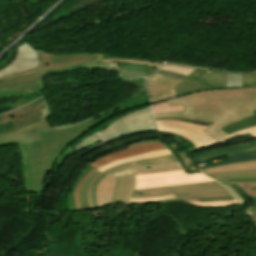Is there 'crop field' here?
<instances>
[{"instance_id": "47", "label": "crop field", "mask_w": 256, "mask_h": 256, "mask_svg": "<svg viewBox=\"0 0 256 256\" xmlns=\"http://www.w3.org/2000/svg\"><path fill=\"white\" fill-rule=\"evenodd\" d=\"M106 122H107L108 124L105 125V126H103L102 129L99 128V131L105 129L107 126H109L110 123H112V122H114V121H112V120L109 119V120L106 121Z\"/></svg>"}, {"instance_id": "14", "label": "crop field", "mask_w": 256, "mask_h": 256, "mask_svg": "<svg viewBox=\"0 0 256 256\" xmlns=\"http://www.w3.org/2000/svg\"><path fill=\"white\" fill-rule=\"evenodd\" d=\"M149 103L148 95H139L134 97H129L125 101H123L121 104H119L118 108L112 110L110 113L101 115L99 117L94 118V122L89 128H94L97 125L101 124L102 122L106 121L107 119L117 115L120 112L125 111L126 109H131L135 107H139L140 105Z\"/></svg>"}, {"instance_id": "12", "label": "crop field", "mask_w": 256, "mask_h": 256, "mask_svg": "<svg viewBox=\"0 0 256 256\" xmlns=\"http://www.w3.org/2000/svg\"><path fill=\"white\" fill-rule=\"evenodd\" d=\"M134 184V173L116 177L111 203H127L132 194Z\"/></svg>"}, {"instance_id": "15", "label": "crop field", "mask_w": 256, "mask_h": 256, "mask_svg": "<svg viewBox=\"0 0 256 256\" xmlns=\"http://www.w3.org/2000/svg\"><path fill=\"white\" fill-rule=\"evenodd\" d=\"M158 73L184 80L181 84H179L175 88L178 96L183 95V94H187V93H191V92H195V91L215 89V88H212L208 85L200 83L196 80H193L189 77H183V76H180V75L171 74V73H167V72H164V71H159Z\"/></svg>"}, {"instance_id": "27", "label": "crop field", "mask_w": 256, "mask_h": 256, "mask_svg": "<svg viewBox=\"0 0 256 256\" xmlns=\"http://www.w3.org/2000/svg\"><path fill=\"white\" fill-rule=\"evenodd\" d=\"M152 106H153V114L175 112V111L183 110L182 105L170 107L166 101H162V102L153 104Z\"/></svg>"}, {"instance_id": "43", "label": "crop field", "mask_w": 256, "mask_h": 256, "mask_svg": "<svg viewBox=\"0 0 256 256\" xmlns=\"http://www.w3.org/2000/svg\"><path fill=\"white\" fill-rule=\"evenodd\" d=\"M175 200H165V201H157V202H149V203H129V204H156V203H167V202H174Z\"/></svg>"}, {"instance_id": "2", "label": "crop field", "mask_w": 256, "mask_h": 256, "mask_svg": "<svg viewBox=\"0 0 256 256\" xmlns=\"http://www.w3.org/2000/svg\"><path fill=\"white\" fill-rule=\"evenodd\" d=\"M93 121L91 119L71 128L42 132L40 135L43 141L26 144L31 165L32 192L39 194L43 176L51 172L65 147L85 135Z\"/></svg>"}, {"instance_id": "41", "label": "crop field", "mask_w": 256, "mask_h": 256, "mask_svg": "<svg viewBox=\"0 0 256 256\" xmlns=\"http://www.w3.org/2000/svg\"><path fill=\"white\" fill-rule=\"evenodd\" d=\"M152 142H157V143L163 145L162 142H160V141H158V140H155V141H147V142H140V143L132 144V145H129V148H132V147L138 146V145H144V144L152 143ZM163 146H164V145H163ZM164 147H165V146H164Z\"/></svg>"}, {"instance_id": "34", "label": "crop field", "mask_w": 256, "mask_h": 256, "mask_svg": "<svg viewBox=\"0 0 256 256\" xmlns=\"http://www.w3.org/2000/svg\"><path fill=\"white\" fill-rule=\"evenodd\" d=\"M102 175H103V173H101V174L98 175L95 179H93V180L91 181V183H90L88 189H87V201H88L89 206H90L91 209H92V208H95L94 205H93V202H92L91 188H92V186L94 185V183L96 182V180H97L100 176H102Z\"/></svg>"}, {"instance_id": "39", "label": "crop field", "mask_w": 256, "mask_h": 256, "mask_svg": "<svg viewBox=\"0 0 256 256\" xmlns=\"http://www.w3.org/2000/svg\"><path fill=\"white\" fill-rule=\"evenodd\" d=\"M70 189H71V188L66 189L65 193H64L63 196H62V201H61V205H60V210H66L64 203H66V195H67V193L69 192Z\"/></svg>"}, {"instance_id": "5", "label": "crop field", "mask_w": 256, "mask_h": 256, "mask_svg": "<svg viewBox=\"0 0 256 256\" xmlns=\"http://www.w3.org/2000/svg\"><path fill=\"white\" fill-rule=\"evenodd\" d=\"M37 51V50H36ZM40 61L35 68L11 75L0 79V86L10 85L21 82L39 80L41 86H44L43 78L45 71L64 69L85 63L101 62L102 54H76L67 56L49 55L37 51Z\"/></svg>"}, {"instance_id": "40", "label": "crop field", "mask_w": 256, "mask_h": 256, "mask_svg": "<svg viewBox=\"0 0 256 256\" xmlns=\"http://www.w3.org/2000/svg\"><path fill=\"white\" fill-rule=\"evenodd\" d=\"M147 106H150V103L148 105L141 106L140 108H135V109H132V110H127L126 112L119 114V116L120 117L125 116V115H127V114H129V113H131L133 111L141 110V109H143V108H145Z\"/></svg>"}, {"instance_id": "33", "label": "crop field", "mask_w": 256, "mask_h": 256, "mask_svg": "<svg viewBox=\"0 0 256 256\" xmlns=\"http://www.w3.org/2000/svg\"><path fill=\"white\" fill-rule=\"evenodd\" d=\"M176 201H217V200H234L233 197H212L198 199H175Z\"/></svg>"}, {"instance_id": "11", "label": "crop field", "mask_w": 256, "mask_h": 256, "mask_svg": "<svg viewBox=\"0 0 256 256\" xmlns=\"http://www.w3.org/2000/svg\"><path fill=\"white\" fill-rule=\"evenodd\" d=\"M18 55L15 61L8 67L0 70V78L8 75L29 70L38 65V56L32 46L24 43L18 50Z\"/></svg>"}, {"instance_id": "42", "label": "crop field", "mask_w": 256, "mask_h": 256, "mask_svg": "<svg viewBox=\"0 0 256 256\" xmlns=\"http://www.w3.org/2000/svg\"><path fill=\"white\" fill-rule=\"evenodd\" d=\"M104 176H105V175H104ZM104 176H102L101 178L98 179V181L95 183V185H94V187H93V189H92L93 201H94V205H95L96 208H97V206H96V200H95V188H96L98 182H99Z\"/></svg>"}, {"instance_id": "30", "label": "crop field", "mask_w": 256, "mask_h": 256, "mask_svg": "<svg viewBox=\"0 0 256 256\" xmlns=\"http://www.w3.org/2000/svg\"><path fill=\"white\" fill-rule=\"evenodd\" d=\"M242 87V75L227 74L226 88H240Z\"/></svg>"}, {"instance_id": "21", "label": "crop field", "mask_w": 256, "mask_h": 256, "mask_svg": "<svg viewBox=\"0 0 256 256\" xmlns=\"http://www.w3.org/2000/svg\"><path fill=\"white\" fill-rule=\"evenodd\" d=\"M250 168H256V161L232 164V165L217 166V167L202 169L200 171L203 172L204 174H206V173H210V172L241 170V169H250Z\"/></svg>"}, {"instance_id": "20", "label": "crop field", "mask_w": 256, "mask_h": 256, "mask_svg": "<svg viewBox=\"0 0 256 256\" xmlns=\"http://www.w3.org/2000/svg\"><path fill=\"white\" fill-rule=\"evenodd\" d=\"M170 154L171 153L168 150L152 152V153H146V154L137 155V156H133V157H129V158H125V159L114 161V162H112V163H110V164H108L106 166H103V167L99 168L98 170L103 172L104 170H106V169H108L110 167L116 166V165L124 163V162H130V161L140 160V159H144V158H154V157L170 155Z\"/></svg>"}, {"instance_id": "22", "label": "crop field", "mask_w": 256, "mask_h": 256, "mask_svg": "<svg viewBox=\"0 0 256 256\" xmlns=\"http://www.w3.org/2000/svg\"><path fill=\"white\" fill-rule=\"evenodd\" d=\"M228 158L230 160L228 162H222V163L207 166V167L256 160V150L246 151V152H241V153L229 155ZM207 167H201L200 169L207 168Z\"/></svg>"}, {"instance_id": "1", "label": "crop field", "mask_w": 256, "mask_h": 256, "mask_svg": "<svg viewBox=\"0 0 256 256\" xmlns=\"http://www.w3.org/2000/svg\"><path fill=\"white\" fill-rule=\"evenodd\" d=\"M170 106L183 104L184 111L158 114L161 117H188L214 122L204 133L218 141L228 134L220 128L256 114V73L243 75V88L196 92L167 100Z\"/></svg>"}, {"instance_id": "37", "label": "crop field", "mask_w": 256, "mask_h": 256, "mask_svg": "<svg viewBox=\"0 0 256 256\" xmlns=\"http://www.w3.org/2000/svg\"><path fill=\"white\" fill-rule=\"evenodd\" d=\"M224 186L234 196V198L243 206L245 201L229 185Z\"/></svg>"}, {"instance_id": "26", "label": "crop field", "mask_w": 256, "mask_h": 256, "mask_svg": "<svg viewBox=\"0 0 256 256\" xmlns=\"http://www.w3.org/2000/svg\"><path fill=\"white\" fill-rule=\"evenodd\" d=\"M94 168H92L90 165H88L87 167H85L78 179H76V181L74 182L73 186H72V189L71 191L68 193V196H67V206H68V211H76L75 210V206H74V200H73V193H74V189L75 187L77 186V184L79 183L80 179L82 177H84L86 174H88L91 170H93Z\"/></svg>"}, {"instance_id": "6", "label": "crop field", "mask_w": 256, "mask_h": 256, "mask_svg": "<svg viewBox=\"0 0 256 256\" xmlns=\"http://www.w3.org/2000/svg\"><path fill=\"white\" fill-rule=\"evenodd\" d=\"M174 194L175 198H198L212 196H231L223 186L215 181L175 185L169 187L134 190L131 198H144Z\"/></svg>"}, {"instance_id": "44", "label": "crop field", "mask_w": 256, "mask_h": 256, "mask_svg": "<svg viewBox=\"0 0 256 256\" xmlns=\"http://www.w3.org/2000/svg\"><path fill=\"white\" fill-rule=\"evenodd\" d=\"M230 181H256V178H248V179H231V180H227V182Z\"/></svg>"}, {"instance_id": "13", "label": "crop field", "mask_w": 256, "mask_h": 256, "mask_svg": "<svg viewBox=\"0 0 256 256\" xmlns=\"http://www.w3.org/2000/svg\"><path fill=\"white\" fill-rule=\"evenodd\" d=\"M164 149H166V148H164L163 146L156 144V143L144 145V146H138V147H134L132 149H127L125 151H121V152H118V153H115L112 155H108L90 165L92 167L98 169L100 166L106 165V164L110 163L111 161H114V160H117L120 158L137 155V154H141V153H146V152L164 150Z\"/></svg>"}, {"instance_id": "46", "label": "crop field", "mask_w": 256, "mask_h": 256, "mask_svg": "<svg viewBox=\"0 0 256 256\" xmlns=\"http://www.w3.org/2000/svg\"><path fill=\"white\" fill-rule=\"evenodd\" d=\"M249 214L251 215L252 219L256 223V211H251V212H249Z\"/></svg>"}, {"instance_id": "29", "label": "crop field", "mask_w": 256, "mask_h": 256, "mask_svg": "<svg viewBox=\"0 0 256 256\" xmlns=\"http://www.w3.org/2000/svg\"><path fill=\"white\" fill-rule=\"evenodd\" d=\"M102 62H132V63H138L143 65H150L158 68L161 63L158 62H145V61H139V60H131V59H118L115 57L104 55Z\"/></svg>"}, {"instance_id": "7", "label": "crop field", "mask_w": 256, "mask_h": 256, "mask_svg": "<svg viewBox=\"0 0 256 256\" xmlns=\"http://www.w3.org/2000/svg\"><path fill=\"white\" fill-rule=\"evenodd\" d=\"M49 106L45 97L16 111L0 116V136L41 120V111Z\"/></svg>"}, {"instance_id": "25", "label": "crop field", "mask_w": 256, "mask_h": 256, "mask_svg": "<svg viewBox=\"0 0 256 256\" xmlns=\"http://www.w3.org/2000/svg\"><path fill=\"white\" fill-rule=\"evenodd\" d=\"M99 173H101L100 171L96 170L92 175H90L88 178H86L79 190V198H80V203H81V208L82 210H86V209H90L88 206V203L86 201V189L90 183V181L96 177Z\"/></svg>"}, {"instance_id": "35", "label": "crop field", "mask_w": 256, "mask_h": 256, "mask_svg": "<svg viewBox=\"0 0 256 256\" xmlns=\"http://www.w3.org/2000/svg\"><path fill=\"white\" fill-rule=\"evenodd\" d=\"M173 195L165 196V197H156V198H144V199H130L129 202H148V201H156V200H164V199H172Z\"/></svg>"}, {"instance_id": "48", "label": "crop field", "mask_w": 256, "mask_h": 256, "mask_svg": "<svg viewBox=\"0 0 256 256\" xmlns=\"http://www.w3.org/2000/svg\"><path fill=\"white\" fill-rule=\"evenodd\" d=\"M90 134H93V133H92L91 131H89L86 135H88V136H89Z\"/></svg>"}, {"instance_id": "4", "label": "crop field", "mask_w": 256, "mask_h": 256, "mask_svg": "<svg viewBox=\"0 0 256 256\" xmlns=\"http://www.w3.org/2000/svg\"><path fill=\"white\" fill-rule=\"evenodd\" d=\"M155 120L160 133H169L180 136L195 145V147L188 148L190 152L224 143L238 136L250 135L251 137H256V126H254L230 134L224 139L216 142L203 133V131L212 124L211 122L191 120L187 118H161Z\"/></svg>"}, {"instance_id": "8", "label": "crop field", "mask_w": 256, "mask_h": 256, "mask_svg": "<svg viewBox=\"0 0 256 256\" xmlns=\"http://www.w3.org/2000/svg\"><path fill=\"white\" fill-rule=\"evenodd\" d=\"M49 110H50V108L47 107L46 109H44L42 111V114L44 116L41 117V118L43 120H41L37 123H34L32 125H29L25 128H22L20 130H17L15 132H12V133H9L7 135H4V136L0 137V142L7 143V144H10V145H15V144L23 145V144L29 143V142L40 141L41 138H40L38 132L49 131V130H54V129H61V128H67V127H71V126H74L76 124H79L81 122H84V121H81V122L73 123V124H70V125L51 127L49 125L47 119H46V118L50 117ZM111 110L102 112V113H100L96 116H99L103 113L110 112ZM96 116H94V117H96ZM91 118H93V117H91ZM91 118H89V119H91ZM89 119H87V120H89Z\"/></svg>"}, {"instance_id": "45", "label": "crop field", "mask_w": 256, "mask_h": 256, "mask_svg": "<svg viewBox=\"0 0 256 256\" xmlns=\"http://www.w3.org/2000/svg\"><path fill=\"white\" fill-rule=\"evenodd\" d=\"M252 200H253V202H254V204H255V206H256V196H254V197L252 198ZM250 210H256V207H249V208L247 209V211H250Z\"/></svg>"}, {"instance_id": "3", "label": "crop field", "mask_w": 256, "mask_h": 256, "mask_svg": "<svg viewBox=\"0 0 256 256\" xmlns=\"http://www.w3.org/2000/svg\"><path fill=\"white\" fill-rule=\"evenodd\" d=\"M146 131H157L155 121L151 114V107L133 112L126 117L120 118L110 124V126L104 131L89 136L73 149L84 155L89 151L116 139L133 133Z\"/></svg>"}, {"instance_id": "36", "label": "crop field", "mask_w": 256, "mask_h": 256, "mask_svg": "<svg viewBox=\"0 0 256 256\" xmlns=\"http://www.w3.org/2000/svg\"><path fill=\"white\" fill-rule=\"evenodd\" d=\"M95 171V169L93 171H91L88 175H86L84 178L81 179L80 183L78 184V186L76 187L75 189V193H74V199H75V205H76V210H81L80 208V203H79V199H78V189H79V186L80 184L82 183V181L87 177L89 176L91 173H93Z\"/></svg>"}, {"instance_id": "28", "label": "crop field", "mask_w": 256, "mask_h": 256, "mask_svg": "<svg viewBox=\"0 0 256 256\" xmlns=\"http://www.w3.org/2000/svg\"><path fill=\"white\" fill-rule=\"evenodd\" d=\"M161 70L176 73V74H180V75H184V76H188L195 69L190 68V67H184V66L163 65Z\"/></svg>"}, {"instance_id": "18", "label": "crop field", "mask_w": 256, "mask_h": 256, "mask_svg": "<svg viewBox=\"0 0 256 256\" xmlns=\"http://www.w3.org/2000/svg\"><path fill=\"white\" fill-rule=\"evenodd\" d=\"M172 162H176V160L174 159V157L172 155H170V156H164V157H159V158H154V159H145V160L125 163V164L110 168L103 173L105 175H107V174H110V173H113L116 171H120V170H124V169H128V168L151 165V164L172 163Z\"/></svg>"}, {"instance_id": "23", "label": "crop field", "mask_w": 256, "mask_h": 256, "mask_svg": "<svg viewBox=\"0 0 256 256\" xmlns=\"http://www.w3.org/2000/svg\"><path fill=\"white\" fill-rule=\"evenodd\" d=\"M256 125V115L232 123L222 128L228 134Z\"/></svg>"}, {"instance_id": "38", "label": "crop field", "mask_w": 256, "mask_h": 256, "mask_svg": "<svg viewBox=\"0 0 256 256\" xmlns=\"http://www.w3.org/2000/svg\"><path fill=\"white\" fill-rule=\"evenodd\" d=\"M178 170H182V169L179 168V169H169V170H158V171H152V172H142V173H135V175L150 174V173H159V172H169V171H178Z\"/></svg>"}, {"instance_id": "17", "label": "crop field", "mask_w": 256, "mask_h": 256, "mask_svg": "<svg viewBox=\"0 0 256 256\" xmlns=\"http://www.w3.org/2000/svg\"><path fill=\"white\" fill-rule=\"evenodd\" d=\"M115 184V177H104L96 189V199L98 208L110 203L112 191Z\"/></svg>"}, {"instance_id": "9", "label": "crop field", "mask_w": 256, "mask_h": 256, "mask_svg": "<svg viewBox=\"0 0 256 256\" xmlns=\"http://www.w3.org/2000/svg\"><path fill=\"white\" fill-rule=\"evenodd\" d=\"M134 189L146 187L169 186L183 183L210 181L201 174L185 175L183 171L135 176Z\"/></svg>"}, {"instance_id": "32", "label": "crop field", "mask_w": 256, "mask_h": 256, "mask_svg": "<svg viewBox=\"0 0 256 256\" xmlns=\"http://www.w3.org/2000/svg\"><path fill=\"white\" fill-rule=\"evenodd\" d=\"M196 205L200 206H212V207H219V206H227V205H239L236 201H218V202H191Z\"/></svg>"}, {"instance_id": "19", "label": "crop field", "mask_w": 256, "mask_h": 256, "mask_svg": "<svg viewBox=\"0 0 256 256\" xmlns=\"http://www.w3.org/2000/svg\"><path fill=\"white\" fill-rule=\"evenodd\" d=\"M206 175L216 180L219 183H223V182H226V179H231V178L256 177V169L230 171V172H218V173H210Z\"/></svg>"}, {"instance_id": "24", "label": "crop field", "mask_w": 256, "mask_h": 256, "mask_svg": "<svg viewBox=\"0 0 256 256\" xmlns=\"http://www.w3.org/2000/svg\"><path fill=\"white\" fill-rule=\"evenodd\" d=\"M146 167H148V169ZM178 167H180L178 163L151 165V166L133 168V169L117 172V173H113V174H110L107 176H118V175L128 174V173H132V172L152 171V170H158V169H168V168H178Z\"/></svg>"}, {"instance_id": "16", "label": "crop field", "mask_w": 256, "mask_h": 256, "mask_svg": "<svg viewBox=\"0 0 256 256\" xmlns=\"http://www.w3.org/2000/svg\"><path fill=\"white\" fill-rule=\"evenodd\" d=\"M251 149H256V141L235 146V147H230V148H225V149H220V150H215L207 153L194 155L193 158L196 162H200V161H205V160L213 159L216 157L226 156L229 154H233V153H237L245 150H251Z\"/></svg>"}, {"instance_id": "10", "label": "crop field", "mask_w": 256, "mask_h": 256, "mask_svg": "<svg viewBox=\"0 0 256 256\" xmlns=\"http://www.w3.org/2000/svg\"><path fill=\"white\" fill-rule=\"evenodd\" d=\"M146 87L151 97L152 104L176 97L174 88L182 82V80L156 74L155 76L145 78Z\"/></svg>"}, {"instance_id": "31", "label": "crop field", "mask_w": 256, "mask_h": 256, "mask_svg": "<svg viewBox=\"0 0 256 256\" xmlns=\"http://www.w3.org/2000/svg\"><path fill=\"white\" fill-rule=\"evenodd\" d=\"M238 185L250 198L256 195V189L250 190V187H256V183H223Z\"/></svg>"}]
</instances>
